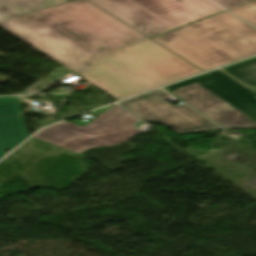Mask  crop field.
<instances>
[{
	"mask_svg": "<svg viewBox=\"0 0 256 256\" xmlns=\"http://www.w3.org/2000/svg\"><path fill=\"white\" fill-rule=\"evenodd\" d=\"M0 26L81 76L96 56L145 39L86 0L3 19Z\"/></svg>",
	"mask_w": 256,
	"mask_h": 256,
	"instance_id": "8a807250",
	"label": "crop field"
},
{
	"mask_svg": "<svg viewBox=\"0 0 256 256\" xmlns=\"http://www.w3.org/2000/svg\"><path fill=\"white\" fill-rule=\"evenodd\" d=\"M198 73L147 39L97 59L83 78L121 100Z\"/></svg>",
	"mask_w": 256,
	"mask_h": 256,
	"instance_id": "ac0d7876",
	"label": "crop field"
},
{
	"mask_svg": "<svg viewBox=\"0 0 256 256\" xmlns=\"http://www.w3.org/2000/svg\"><path fill=\"white\" fill-rule=\"evenodd\" d=\"M152 39L204 71L256 54V30L226 12Z\"/></svg>",
	"mask_w": 256,
	"mask_h": 256,
	"instance_id": "34b2d1b8",
	"label": "crop field"
},
{
	"mask_svg": "<svg viewBox=\"0 0 256 256\" xmlns=\"http://www.w3.org/2000/svg\"><path fill=\"white\" fill-rule=\"evenodd\" d=\"M164 89L226 129L256 128V94L220 70Z\"/></svg>",
	"mask_w": 256,
	"mask_h": 256,
	"instance_id": "412701ff",
	"label": "crop field"
},
{
	"mask_svg": "<svg viewBox=\"0 0 256 256\" xmlns=\"http://www.w3.org/2000/svg\"><path fill=\"white\" fill-rule=\"evenodd\" d=\"M89 1L148 37L223 10L208 0Z\"/></svg>",
	"mask_w": 256,
	"mask_h": 256,
	"instance_id": "f4fd0767",
	"label": "crop field"
},
{
	"mask_svg": "<svg viewBox=\"0 0 256 256\" xmlns=\"http://www.w3.org/2000/svg\"><path fill=\"white\" fill-rule=\"evenodd\" d=\"M137 120L115 105L83 127L64 121L34 136L81 153L89 148L117 145L142 133L132 127Z\"/></svg>",
	"mask_w": 256,
	"mask_h": 256,
	"instance_id": "dd49c442",
	"label": "crop field"
},
{
	"mask_svg": "<svg viewBox=\"0 0 256 256\" xmlns=\"http://www.w3.org/2000/svg\"><path fill=\"white\" fill-rule=\"evenodd\" d=\"M161 89L119 103L142 120L161 122L178 134L220 129L185 106H170Z\"/></svg>",
	"mask_w": 256,
	"mask_h": 256,
	"instance_id": "e52e79f7",
	"label": "crop field"
},
{
	"mask_svg": "<svg viewBox=\"0 0 256 256\" xmlns=\"http://www.w3.org/2000/svg\"><path fill=\"white\" fill-rule=\"evenodd\" d=\"M27 137L29 135L22 116L0 117V158Z\"/></svg>",
	"mask_w": 256,
	"mask_h": 256,
	"instance_id": "d8731c3e",
	"label": "crop field"
},
{
	"mask_svg": "<svg viewBox=\"0 0 256 256\" xmlns=\"http://www.w3.org/2000/svg\"><path fill=\"white\" fill-rule=\"evenodd\" d=\"M66 2L67 0H0V19Z\"/></svg>",
	"mask_w": 256,
	"mask_h": 256,
	"instance_id": "5a996713",
	"label": "crop field"
},
{
	"mask_svg": "<svg viewBox=\"0 0 256 256\" xmlns=\"http://www.w3.org/2000/svg\"><path fill=\"white\" fill-rule=\"evenodd\" d=\"M242 83L256 87V57L222 68Z\"/></svg>",
	"mask_w": 256,
	"mask_h": 256,
	"instance_id": "3316defc",
	"label": "crop field"
},
{
	"mask_svg": "<svg viewBox=\"0 0 256 256\" xmlns=\"http://www.w3.org/2000/svg\"><path fill=\"white\" fill-rule=\"evenodd\" d=\"M228 11L256 27V1Z\"/></svg>",
	"mask_w": 256,
	"mask_h": 256,
	"instance_id": "28ad6ade",
	"label": "crop field"
},
{
	"mask_svg": "<svg viewBox=\"0 0 256 256\" xmlns=\"http://www.w3.org/2000/svg\"><path fill=\"white\" fill-rule=\"evenodd\" d=\"M22 115L17 97L0 98V116Z\"/></svg>",
	"mask_w": 256,
	"mask_h": 256,
	"instance_id": "d1516ede",
	"label": "crop field"
},
{
	"mask_svg": "<svg viewBox=\"0 0 256 256\" xmlns=\"http://www.w3.org/2000/svg\"><path fill=\"white\" fill-rule=\"evenodd\" d=\"M212 1H214L218 5L228 10L230 8L240 6L242 4L248 3L253 0H212Z\"/></svg>",
	"mask_w": 256,
	"mask_h": 256,
	"instance_id": "22f410ed",
	"label": "crop field"
},
{
	"mask_svg": "<svg viewBox=\"0 0 256 256\" xmlns=\"http://www.w3.org/2000/svg\"><path fill=\"white\" fill-rule=\"evenodd\" d=\"M252 89L256 91V88H252Z\"/></svg>",
	"mask_w": 256,
	"mask_h": 256,
	"instance_id": "cbeb9de0",
	"label": "crop field"
},
{
	"mask_svg": "<svg viewBox=\"0 0 256 256\" xmlns=\"http://www.w3.org/2000/svg\"><path fill=\"white\" fill-rule=\"evenodd\" d=\"M69 1H71V0H69Z\"/></svg>",
	"mask_w": 256,
	"mask_h": 256,
	"instance_id": "5142ce71",
	"label": "crop field"
}]
</instances>
